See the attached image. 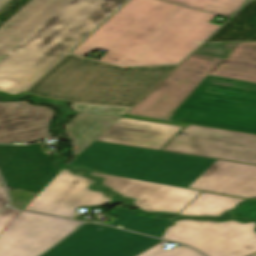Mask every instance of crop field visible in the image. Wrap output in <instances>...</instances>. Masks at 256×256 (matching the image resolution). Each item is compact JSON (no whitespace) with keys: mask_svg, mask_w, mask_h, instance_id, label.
<instances>
[{"mask_svg":"<svg viewBox=\"0 0 256 256\" xmlns=\"http://www.w3.org/2000/svg\"><path fill=\"white\" fill-rule=\"evenodd\" d=\"M215 14L161 0H128L70 53L108 50L99 60L118 65L180 62L219 25Z\"/></svg>","mask_w":256,"mask_h":256,"instance_id":"crop-field-1","label":"crop field"},{"mask_svg":"<svg viewBox=\"0 0 256 256\" xmlns=\"http://www.w3.org/2000/svg\"><path fill=\"white\" fill-rule=\"evenodd\" d=\"M107 174L256 197V166L94 141L72 162Z\"/></svg>","mask_w":256,"mask_h":256,"instance_id":"crop-field-2","label":"crop field"},{"mask_svg":"<svg viewBox=\"0 0 256 256\" xmlns=\"http://www.w3.org/2000/svg\"><path fill=\"white\" fill-rule=\"evenodd\" d=\"M127 0H71L0 62V91L18 96Z\"/></svg>","mask_w":256,"mask_h":256,"instance_id":"crop-field-3","label":"crop field"},{"mask_svg":"<svg viewBox=\"0 0 256 256\" xmlns=\"http://www.w3.org/2000/svg\"><path fill=\"white\" fill-rule=\"evenodd\" d=\"M177 65L117 67L68 53L23 94L132 107Z\"/></svg>","mask_w":256,"mask_h":256,"instance_id":"crop-field-4","label":"crop field"},{"mask_svg":"<svg viewBox=\"0 0 256 256\" xmlns=\"http://www.w3.org/2000/svg\"><path fill=\"white\" fill-rule=\"evenodd\" d=\"M223 44L224 58L193 53L126 113L168 120L207 75L256 83V42Z\"/></svg>","mask_w":256,"mask_h":256,"instance_id":"crop-field-5","label":"crop field"},{"mask_svg":"<svg viewBox=\"0 0 256 256\" xmlns=\"http://www.w3.org/2000/svg\"><path fill=\"white\" fill-rule=\"evenodd\" d=\"M169 120L256 134V84L207 76Z\"/></svg>","mask_w":256,"mask_h":256,"instance_id":"crop-field-6","label":"crop field"},{"mask_svg":"<svg viewBox=\"0 0 256 256\" xmlns=\"http://www.w3.org/2000/svg\"><path fill=\"white\" fill-rule=\"evenodd\" d=\"M255 222L184 219L168 228L164 239L192 246L208 256H246L256 252Z\"/></svg>","mask_w":256,"mask_h":256,"instance_id":"crop-field-7","label":"crop field"},{"mask_svg":"<svg viewBox=\"0 0 256 256\" xmlns=\"http://www.w3.org/2000/svg\"><path fill=\"white\" fill-rule=\"evenodd\" d=\"M79 224L21 212L0 232V256H38L75 230Z\"/></svg>","mask_w":256,"mask_h":256,"instance_id":"crop-field-8","label":"crop field"},{"mask_svg":"<svg viewBox=\"0 0 256 256\" xmlns=\"http://www.w3.org/2000/svg\"><path fill=\"white\" fill-rule=\"evenodd\" d=\"M42 256H135L161 240L87 223Z\"/></svg>","mask_w":256,"mask_h":256,"instance_id":"crop-field-9","label":"crop field"},{"mask_svg":"<svg viewBox=\"0 0 256 256\" xmlns=\"http://www.w3.org/2000/svg\"><path fill=\"white\" fill-rule=\"evenodd\" d=\"M163 150L256 164V135L188 126Z\"/></svg>","mask_w":256,"mask_h":256,"instance_id":"crop-field-10","label":"crop field"},{"mask_svg":"<svg viewBox=\"0 0 256 256\" xmlns=\"http://www.w3.org/2000/svg\"><path fill=\"white\" fill-rule=\"evenodd\" d=\"M92 182L64 169L24 209L71 218L76 207L100 205L111 200L88 189Z\"/></svg>","mask_w":256,"mask_h":256,"instance_id":"crop-field-11","label":"crop field"},{"mask_svg":"<svg viewBox=\"0 0 256 256\" xmlns=\"http://www.w3.org/2000/svg\"><path fill=\"white\" fill-rule=\"evenodd\" d=\"M0 173L6 185L39 193L59 172L40 144L0 145Z\"/></svg>","mask_w":256,"mask_h":256,"instance_id":"crop-field-12","label":"crop field"},{"mask_svg":"<svg viewBox=\"0 0 256 256\" xmlns=\"http://www.w3.org/2000/svg\"><path fill=\"white\" fill-rule=\"evenodd\" d=\"M105 177L104 186L115 190L124 197L136 198L134 203L146 212L160 211L177 214L199 191L188 190L157 183L92 173Z\"/></svg>","mask_w":256,"mask_h":256,"instance_id":"crop-field-13","label":"crop field"},{"mask_svg":"<svg viewBox=\"0 0 256 256\" xmlns=\"http://www.w3.org/2000/svg\"><path fill=\"white\" fill-rule=\"evenodd\" d=\"M52 117V110L26 102L0 104V143L46 137Z\"/></svg>","mask_w":256,"mask_h":256,"instance_id":"crop-field-14","label":"crop field"},{"mask_svg":"<svg viewBox=\"0 0 256 256\" xmlns=\"http://www.w3.org/2000/svg\"><path fill=\"white\" fill-rule=\"evenodd\" d=\"M70 0H31L0 27V57H6Z\"/></svg>","mask_w":256,"mask_h":256,"instance_id":"crop-field-15","label":"crop field"},{"mask_svg":"<svg viewBox=\"0 0 256 256\" xmlns=\"http://www.w3.org/2000/svg\"><path fill=\"white\" fill-rule=\"evenodd\" d=\"M181 128L120 118L96 140L160 150Z\"/></svg>","mask_w":256,"mask_h":256,"instance_id":"crop-field-16","label":"crop field"},{"mask_svg":"<svg viewBox=\"0 0 256 256\" xmlns=\"http://www.w3.org/2000/svg\"><path fill=\"white\" fill-rule=\"evenodd\" d=\"M119 118L120 117L94 116L88 113H78L65 126L66 134L73 140L74 155L77 156Z\"/></svg>","mask_w":256,"mask_h":256,"instance_id":"crop-field-17","label":"crop field"},{"mask_svg":"<svg viewBox=\"0 0 256 256\" xmlns=\"http://www.w3.org/2000/svg\"><path fill=\"white\" fill-rule=\"evenodd\" d=\"M242 200L240 198L203 192L180 215L220 216L224 211L232 209Z\"/></svg>","mask_w":256,"mask_h":256,"instance_id":"crop-field-18","label":"crop field"},{"mask_svg":"<svg viewBox=\"0 0 256 256\" xmlns=\"http://www.w3.org/2000/svg\"><path fill=\"white\" fill-rule=\"evenodd\" d=\"M116 218L111 225H121L123 228L138 231L140 233L161 238L167 225L171 222L169 220L153 219L141 217L125 208H117L108 213Z\"/></svg>","mask_w":256,"mask_h":256,"instance_id":"crop-field-19","label":"crop field"},{"mask_svg":"<svg viewBox=\"0 0 256 256\" xmlns=\"http://www.w3.org/2000/svg\"><path fill=\"white\" fill-rule=\"evenodd\" d=\"M230 18L248 0H165Z\"/></svg>","mask_w":256,"mask_h":256,"instance_id":"crop-field-20","label":"crop field"},{"mask_svg":"<svg viewBox=\"0 0 256 256\" xmlns=\"http://www.w3.org/2000/svg\"><path fill=\"white\" fill-rule=\"evenodd\" d=\"M70 106L74 111L92 112L94 114L116 115V116H123V114L130 109L126 107L77 104V103H70Z\"/></svg>","mask_w":256,"mask_h":256,"instance_id":"crop-field-21","label":"crop field"},{"mask_svg":"<svg viewBox=\"0 0 256 256\" xmlns=\"http://www.w3.org/2000/svg\"><path fill=\"white\" fill-rule=\"evenodd\" d=\"M164 243H166V241H163L139 256H202L198 252L187 247L177 246L168 251L162 250Z\"/></svg>","mask_w":256,"mask_h":256,"instance_id":"crop-field-22","label":"crop field"},{"mask_svg":"<svg viewBox=\"0 0 256 256\" xmlns=\"http://www.w3.org/2000/svg\"><path fill=\"white\" fill-rule=\"evenodd\" d=\"M11 206L18 209H23L26 204L37 194L22 191L16 189L15 191H9Z\"/></svg>","mask_w":256,"mask_h":256,"instance_id":"crop-field-23","label":"crop field"},{"mask_svg":"<svg viewBox=\"0 0 256 256\" xmlns=\"http://www.w3.org/2000/svg\"><path fill=\"white\" fill-rule=\"evenodd\" d=\"M195 52L216 55L221 57H224L226 55L225 48L222 43H205Z\"/></svg>","mask_w":256,"mask_h":256,"instance_id":"crop-field-24","label":"crop field"},{"mask_svg":"<svg viewBox=\"0 0 256 256\" xmlns=\"http://www.w3.org/2000/svg\"><path fill=\"white\" fill-rule=\"evenodd\" d=\"M236 211L244 217L256 219V201H244L239 205Z\"/></svg>","mask_w":256,"mask_h":256,"instance_id":"crop-field-25","label":"crop field"},{"mask_svg":"<svg viewBox=\"0 0 256 256\" xmlns=\"http://www.w3.org/2000/svg\"><path fill=\"white\" fill-rule=\"evenodd\" d=\"M19 213L20 211L18 210L5 208L0 213V231L5 228Z\"/></svg>","mask_w":256,"mask_h":256,"instance_id":"crop-field-26","label":"crop field"},{"mask_svg":"<svg viewBox=\"0 0 256 256\" xmlns=\"http://www.w3.org/2000/svg\"><path fill=\"white\" fill-rule=\"evenodd\" d=\"M124 116H125V117H131V118H138V119H144V120H151V121L163 122V123H170V124L182 125V126H186V125H187V124H183V123H177V122H171V121H164V120H156V119H148V118H142V117L127 115V114H124Z\"/></svg>","mask_w":256,"mask_h":256,"instance_id":"crop-field-27","label":"crop field"},{"mask_svg":"<svg viewBox=\"0 0 256 256\" xmlns=\"http://www.w3.org/2000/svg\"><path fill=\"white\" fill-rule=\"evenodd\" d=\"M7 203V196L2 185H0V209Z\"/></svg>","mask_w":256,"mask_h":256,"instance_id":"crop-field-28","label":"crop field"},{"mask_svg":"<svg viewBox=\"0 0 256 256\" xmlns=\"http://www.w3.org/2000/svg\"><path fill=\"white\" fill-rule=\"evenodd\" d=\"M9 0H0V8L5 5Z\"/></svg>","mask_w":256,"mask_h":256,"instance_id":"crop-field-29","label":"crop field"},{"mask_svg":"<svg viewBox=\"0 0 256 256\" xmlns=\"http://www.w3.org/2000/svg\"><path fill=\"white\" fill-rule=\"evenodd\" d=\"M248 256H256V253H253V254H251V255H248Z\"/></svg>","mask_w":256,"mask_h":256,"instance_id":"crop-field-30","label":"crop field"},{"mask_svg":"<svg viewBox=\"0 0 256 256\" xmlns=\"http://www.w3.org/2000/svg\"><path fill=\"white\" fill-rule=\"evenodd\" d=\"M2 59H4V58H0V61H1Z\"/></svg>","mask_w":256,"mask_h":256,"instance_id":"crop-field-31","label":"crop field"},{"mask_svg":"<svg viewBox=\"0 0 256 256\" xmlns=\"http://www.w3.org/2000/svg\"><path fill=\"white\" fill-rule=\"evenodd\" d=\"M1 184V183H0Z\"/></svg>","mask_w":256,"mask_h":256,"instance_id":"crop-field-32","label":"crop field"}]
</instances>
